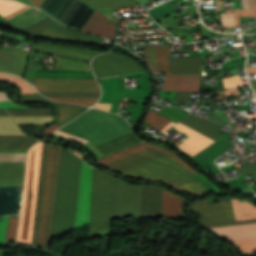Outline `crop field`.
Wrapping results in <instances>:
<instances>
[{
  "instance_id": "31",
  "label": "crop field",
  "mask_w": 256,
  "mask_h": 256,
  "mask_svg": "<svg viewBox=\"0 0 256 256\" xmlns=\"http://www.w3.org/2000/svg\"><path fill=\"white\" fill-rule=\"evenodd\" d=\"M144 123L154 127L155 129H157L163 133L171 125L175 124V123L171 122L170 120L166 119L165 117H163L162 115H160L152 110H149Z\"/></svg>"
},
{
  "instance_id": "9",
  "label": "crop field",
  "mask_w": 256,
  "mask_h": 256,
  "mask_svg": "<svg viewBox=\"0 0 256 256\" xmlns=\"http://www.w3.org/2000/svg\"><path fill=\"white\" fill-rule=\"evenodd\" d=\"M92 68L97 79L144 71L136 62L112 52L92 60Z\"/></svg>"
},
{
  "instance_id": "47",
  "label": "crop field",
  "mask_w": 256,
  "mask_h": 256,
  "mask_svg": "<svg viewBox=\"0 0 256 256\" xmlns=\"http://www.w3.org/2000/svg\"><path fill=\"white\" fill-rule=\"evenodd\" d=\"M25 154H0V161H24Z\"/></svg>"
},
{
  "instance_id": "35",
  "label": "crop field",
  "mask_w": 256,
  "mask_h": 256,
  "mask_svg": "<svg viewBox=\"0 0 256 256\" xmlns=\"http://www.w3.org/2000/svg\"><path fill=\"white\" fill-rule=\"evenodd\" d=\"M0 135H24L11 117H0Z\"/></svg>"
},
{
  "instance_id": "18",
  "label": "crop field",
  "mask_w": 256,
  "mask_h": 256,
  "mask_svg": "<svg viewBox=\"0 0 256 256\" xmlns=\"http://www.w3.org/2000/svg\"><path fill=\"white\" fill-rule=\"evenodd\" d=\"M28 51L12 48L11 51L0 50V71L23 76Z\"/></svg>"
},
{
  "instance_id": "42",
  "label": "crop field",
  "mask_w": 256,
  "mask_h": 256,
  "mask_svg": "<svg viewBox=\"0 0 256 256\" xmlns=\"http://www.w3.org/2000/svg\"><path fill=\"white\" fill-rule=\"evenodd\" d=\"M16 123L41 124L51 121L52 117H13Z\"/></svg>"
},
{
  "instance_id": "15",
  "label": "crop field",
  "mask_w": 256,
  "mask_h": 256,
  "mask_svg": "<svg viewBox=\"0 0 256 256\" xmlns=\"http://www.w3.org/2000/svg\"><path fill=\"white\" fill-rule=\"evenodd\" d=\"M24 102H45L57 109V118L54 124L62 126L78 116L88 108H82L70 104L53 103L39 94L21 96Z\"/></svg>"
},
{
  "instance_id": "46",
  "label": "crop field",
  "mask_w": 256,
  "mask_h": 256,
  "mask_svg": "<svg viewBox=\"0 0 256 256\" xmlns=\"http://www.w3.org/2000/svg\"><path fill=\"white\" fill-rule=\"evenodd\" d=\"M238 171L241 173L242 177L249 175H251L252 177H256V162L238 168Z\"/></svg>"
},
{
  "instance_id": "22",
  "label": "crop field",
  "mask_w": 256,
  "mask_h": 256,
  "mask_svg": "<svg viewBox=\"0 0 256 256\" xmlns=\"http://www.w3.org/2000/svg\"><path fill=\"white\" fill-rule=\"evenodd\" d=\"M145 61L152 71H169V46L145 45Z\"/></svg>"
},
{
  "instance_id": "21",
  "label": "crop field",
  "mask_w": 256,
  "mask_h": 256,
  "mask_svg": "<svg viewBox=\"0 0 256 256\" xmlns=\"http://www.w3.org/2000/svg\"><path fill=\"white\" fill-rule=\"evenodd\" d=\"M48 145L43 144L31 245L37 246Z\"/></svg>"
},
{
  "instance_id": "3",
  "label": "crop field",
  "mask_w": 256,
  "mask_h": 256,
  "mask_svg": "<svg viewBox=\"0 0 256 256\" xmlns=\"http://www.w3.org/2000/svg\"><path fill=\"white\" fill-rule=\"evenodd\" d=\"M59 130L86 139L96 147L133 133L122 117L90 109Z\"/></svg>"
},
{
  "instance_id": "57",
  "label": "crop field",
  "mask_w": 256,
  "mask_h": 256,
  "mask_svg": "<svg viewBox=\"0 0 256 256\" xmlns=\"http://www.w3.org/2000/svg\"><path fill=\"white\" fill-rule=\"evenodd\" d=\"M249 1V4H250V7L252 9H254L255 13H256V2L255 0H248Z\"/></svg>"
},
{
  "instance_id": "62",
  "label": "crop field",
  "mask_w": 256,
  "mask_h": 256,
  "mask_svg": "<svg viewBox=\"0 0 256 256\" xmlns=\"http://www.w3.org/2000/svg\"><path fill=\"white\" fill-rule=\"evenodd\" d=\"M250 82H251L253 88H256V80H250Z\"/></svg>"
},
{
  "instance_id": "40",
  "label": "crop field",
  "mask_w": 256,
  "mask_h": 256,
  "mask_svg": "<svg viewBox=\"0 0 256 256\" xmlns=\"http://www.w3.org/2000/svg\"><path fill=\"white\" fill-rule=\"evenodd\" d=\"M25 5L8 1V0H0V15L3 17Z\"/></svg>"
},
{
  "instance_id": "45",
  "label": "crop field",
  "mask_w": 256,
  "mask_h": 256,
  "mask_svg": "<svg viewBox=\"0 0 256 256\" xmlns=\"http://www.w3.org/2000/svg\"><path fill=\"white\" fill-rule=\"evenodd\" d=\"M235 27L239 26V17H256L253 10L248 9H233Z\"/></svg>"
},
{
  "instance_id": "55",
  "label": "crop field",
  "mask_w": 256,
  "mask_h": 256,
  "mask_svg": "<svg viewBox=\"0 0 256 256\" xmlns=\"http://www.w3.org/2000/svg\"><path fill=\"white\" fill-rule=\"evenodd\" d=\"M7 99H9V95L4 92H0V101L7 100Z\"/></svg>"
},
{
  "instance_id": "17",
  "label": "crop field",
  "mask_w": 256,
  "mask_h": 256,
  "mask_svg": "<svg viewBox=\"0 0 256 256\" xmlns=\"http://www.w3.org/2000/svg\"><path fill=\"white\" fill-rule=\"evenodd\" d=\"M82 31L100 35L116 42V20L111 21L96 10Z\"/></svg>"
},
{
  "instance_id": "41",
  "label": "crop field",
  "mask_w": 256,
  "mask_h": 256,
  "mask_svg": "<svg viewBox=\"0 0 256 256\" xmlns=\"http://www.w3.org/2000/svg\"><path fill=\"white\" fill-rule=\"evenodd\" d=\"M18 217H9L5 242L15 241Z\"/></svg>"
},
{
  "instance_id": "60",
  "label": "crop field",
  "mask_w": 256,
  "mask_h": 256,
  "mask_svg": "<svg viewBox=\"0 0 256 256\" xmlns=\"http://www.w3.org/2000/svg\"><path fill=\"white\" fill-rule=\"evenodd\" d=\"M0 116H9L5 110L0 109Z\"/></svg>"
},
{
  "instance_id": "34",
  "label": "crop field",
  "mask_w": 256,
  "mask_h": 256,
  "mask_svg": "<svg viewBox=\"0 0 256 256\" xmlns=\"http://www.w3.org/2000/svg\"><path fill=\"white\" fill-rule=\"evenodd\" d=\"M175 3H177V2L174 0H169L166 3L149 10L148 12L150 13L151 17L155 21H157V20L175 12L174 8L171 6Z\"/></svg>"
},
{
  "instance_id": "13",
  "label": "crop field",
  "mask_w": 256,
  "mask_h": 256,
  "mask_svg": "<svg viewBox=\"0 0 256 256\" xmlns=\"http://www.w3.org/2000/svg\"><path fill=\"white\" fill-rule=\"evenodd\" d=\"M37 35L48 39L79 41L85 44H96L99 43L101 40L100 38L92 37L89 35H85L79 32L66 29L55 22Z\"/></svg>"
},
{
  "instance_id": "30",
  "label": "crop field",
  "mask_w": 256,
  "mask_h": 256,
  "mask_svg": "<svg viewBox=\"0 0 256 256\" xmlns=\"http://www.w3.org/2000/svg\"><path fill=\"white\" fill-rule=\"evenodd\" d=\"M137 142H141L138 140L135 136V133L128 135L126 137H123L121 139H118L114 142H111L109 144H106L104 146H101L97 148L104 156L111 154L115 151H118L120 149H123L125 147H128L132 144H135Z\"/></svg>"
},
{
  "instance_id": "6",
  "label": "crop field",
  "mask_w": 256,
  "mask_h": 256,
  "mask_svg": "<svg viewBox=\"0 0 256 256\" xmlns=\"http://www.w3.org/2000/svg\"><path fill=\"white\" fill-rule=\"evenodd\" d=\"M40 9L57 22L79 31L95 10L81 0H43Z\"/></svg>"
},
{
  "instance_id": "59",
  "label": "crop field",
  "mask_w": 256,
  "mask_h": 256,
  "mask_svg": "<svg viewBox=\"0 0 256 256\" xmlns=\"http://www.w3.org/2000/svg\"><path fill=\"white\" fill-rule=\"evenodd\" d=\"M246 71L247 73H256V67H247Z\"/></svg>"
},
{
  "instance_id": "20",
  "label": "crop field",
  "mask_w": 256,
  "mask_h": 256,
  "mask_svg": "<svg viewBox=\"0 0 256 256\" xmlns=\"http://www.w3.org/2000/svg\"><path fill=\"white\" fill-rule=\"evenodd\" d=\"M161 189L142 186L140 216L160 217Z\"/></svg>"
},
{
  "instance_id": "53",
  "label": "crop field",
  "mask_w": 256,
  "mask_h": 256,
  "mask_svg": "<svg viewBox=\"0 0 256 256\" xmlns=\"http://www.w3.org/2000/svg\"><path fill=\"white\" fill-rule=\"evenodd\" d=\"M0 106H2L3 108H29V107H23V106H19V105H13L10 102V100L0 102Z\"/></svg>"
},
{
  "instance_id": "5",
  "label": "crop field",
  "mask_w": 256,
  "mask_h": 256,
  "mask_svg": "<svg viewBox=\"0 0 256 256\" xmlns=\"http://www.w3.org/2000/svg\"><path fill=\"white\" fill-rule=\"evenodd\" d=\"M42 144L28 152L21 219L17 241L30 245Z\"/></svg>"
},
{
  "instance_id": "48",
  "label": "crop field",
  "mask_w": 256,
  "mask_h": 256,
  "mask_svg": "<svg viewBox=\"0 0 256 256\" xmlns=\"http://www.w3.org/2000/svg\"><path fill=\"white\" fill-rule=\"evenodd\" d=\"M225 88L234 87V86H241L243 85L240 79V76H234L223 79Z\"/></svg>"
},
{
  "instance_id": "11",
  "label": "crop field",
  "mask_w": 256,
  "mask_h": 256,
  "mask_svg": "<svg viewBox=\"0 0 256 256\" xmlns=\"http://www.w3.org/2000/svg\"><path fill=\"white\" fill-rule=\"evenodd\" d=\"M141 186L116 180L114 218L139 214Z\"/></svg>"
},
{
  "instance_id": "38",
  "label": "crop field",
  "mask_w": 256,
  "mask_h": 256,
  "mask_svg": "<svg viewBox=\"0 0 256 256\" xmlns=\"http://www.w3.org/2000/svg\"><path fill=\"white\" fill-rule=\"evenodd\" d=\"M46 97L98 98L100 93L40 92Z\"/></svg>"
},
{
  "instance_id": "32",
  "label": "crop field",
  "mask_w": 256,
  "mask_h": 256,
  "mask_svg": "<svg viewBox=\"0 0 256 256\" xmlns=\"http://www.w3.org/2000/svg\"><path fill=\"white\" fill-rule=\"evenodd\" d=\"M83 1L95 9L138 5L132 0H83Z\"/></svg>"
},
{
  "instance_id": "51",
  "label": "crop field",
  "mask_w": 256,
  "mask_h": 256,
  "mask_svg": "<svg viewBox=\"0 0 256 256\" xmlns=\"http://www.w3.org/2000/svg\"><path fill=\"white\" fill-rule=\"evenodd\" d=\"M7 218L8 217H5L3 222H0V243L4 242L6 226H7Z\"/></svg>"
},
{
  "instance_id": "49",
  "label": "crop field",
  "mask_w": 256,
  "mask_h": 256,
  "mask_svg": "<svg viewBox=\"0 0 256 256\" xmlns=\"http://www.w3.org/2000/svg\"><path fill=\"white\" fill-rule=\"evenodd\" d=\"M222 26H234L233 14H221Z\"/></svg>"
},
{
  "instance_id": "7",
  "label": "crop field",
  "mask_w": 256,
  "mask_h": 256,
  "mask_svg": "<svg viewBox=\"0 0 256 256\" xmlns=\"http://www.w3.org/2000/svg\"><path fill=\"white\" fill-rule=\"evenodd\" d=\"M191 129L203 134L204 136L216 141L219 139L221 130L217 129L219 124L200 118L195 115H188V117L180 122ZM232 143L217 141L207 146L197 154L189 158L199 168H204L210 162L215 160L218 156L224 153Z\"/></svg>"
},
{
  "instance_id": "44",
  "label": "crop field",
  "mask_w": 256,
  "mask_h": 256,
  "mask_svg": "<svg viewBox=\"0 0 256 256\" xmlns=\"http://www.w3.org/2000/svg\"><path fill=\"white\" fill-rule=\"evenodd\" d=\"M52 22H54V21L48 18L21 33L31 37L34 34H36L37 32H39L40 30H42L43 28H45L46 26H48L49 24H51Z\"/></svg>"
},
{
  "instance_id": "16",
  "label": "crop field",
  "mask_w": 256,
  "mask_h": 256,
  "mask_svg": "<svg viewBox=\"0 0 256 256\" xmlns=\"http://www.w3.org/2000/svg\"><path fill=\"white\" fill-rule=\"evenodd\" d=\"M30 49L45 52V53L85 60V61H90L94 56L102 53V52L83 50V49H77V48H71V47H65V46H58V45H52V44H46V43H40V44L30 43Z\"/></svg>"
},
{
  "instance_id": "10",
  "label": "crop field",
  "mask_w": 256,
  "mask_h": 256,
  "mask_svg": "<svg viewBox=\"0 0 256 256\" xmlns=\"http://www.w3.org/2000/svg\"><path fill=\"white\" fill-rule=\"evenodd\" d=\"M38 91L100 92L95 79L35 78Z\"/></svg>"
},
{
  "instance_id": "27",
  "label": "crop field",
  "mask_w": 256,
  "mask_h": 256,
  "mask_svg": "<svg viewBox=\"0 0 256 256\" xmlns=\"http://www.w3.org/2000/svg\"><path fill=\"white\" fill-rule=\"evenodd\" d=\"M61 149L56 147L45 248L49 250Z\"/></svg>"
},
{
  "instance_id": "1",
  "label": "crop field",
  "mask_w": 256,
  "mask_h": 256,
  "mask_svg": "<svg viewBox=\"0 0 256 256\" xmlns=\"http://www.w3.org/2000/svg\"><path fill=\"white\" fill-rule=\"evenodd\" d=\"M98 164L121 174L170 183L194 196L210 193L192 176L196 171L172 153L144 142L99 159Z\"/></svg>"
},
{
  "instance_id": "52",
  "label": "crop field",
  "mask_w": 256,
  "mask_h": 256,
  "mask_svg": "<svg viewBox=\"0 0 256 256\" xmlns=\"http://www.w3.org/2000/svg\"><path fill=\"white\" fill-rule=\"evenodd\" d=\"M54 134H57V135H60V136L66 137V138H70V139H73V140H76V141H79V142H82V143L88 142V141H85L83 139L77 138L75 136L69 135L67 133L61 132L59 130L55 131Z\"/></svg>"
},
{
  "instance_id": "2",
  "label": "crop field",
  "mask_w": 256,
  "mask_h": 256,
  "mask_svg": "<svg viewBox=\"0 0 256 256\" xmlns=\"http://www.w3.org/2000/svg\"><path fill=\"white\" fill-rule=\"evenodd\" d=\"M82 160L62 149L52 236L74 228Z\"/></svg>"
},
{
  "instance_id": "14",
  "label": "crop field",
  "mask_w": 256,
  "mask_h": 256,
  "mask_svg": "<svg viewBox=\"0 0 256 256\" xmlns=\"http://www.w3.org/2000/svg\"><path fill=\"white\" fill-rule=\"evenodd\" d=\"M55 147L49 145L38 246L44 248Z\"/></svg>"
},
{
  "instance_id": "61",
  "label": "crop field",
  "mask_w": 256,
  "mask_h": 256,
  "mask_svg": "<svg viewBox=\"0 0 256 256\" xmlns=\"http://www.w3.org/2000/svg\"><path fill=\"white\" fill-rule=\"evenodd\" d=\"M236 8H242L240 1H235Z\"/></svg>"
},
{
  "instance_id": "26",
  "label": "crop field",
  "mask_w": 256,
  "mask_h": 256,
  "mask_svg": "<svg viewBox=\"0 0 256 256\" xmlns=\"http://www.w3.org/2000/svg\"><path fill=\"white\" fill-rule=\"evenodd\" d=\"M183 199L162 189V203L161 216H168L171 218L183 217L181 206Z\"/></svg>"
},
{
  "instance_id": "33",
  "label": "crop field",
  "mask_w": 256,
  "mask_h": 256,
  "mask_svg": "<svg viewBox=\"0 0 256 256\" xmlns=\"http://www.w3.org/2000/svg\"><path fill=\"white\" fill-rule=\"evenodd\" d=\"M0 81L17 85L21 90L20 95L37 93L33 86L14 75L0 73Z\"/></svg>"
},
{
  "instance_id": "39",
  "label": "crop field",
  "mask_w": 256,
  "mask_h": 256,
  "mask_svg": "<svg viewBox=\"0 0 256 256\" xmlns=\"http://www.w3.org/2000/svg\"><path fill=\"white\" fill-rule=\"evenodd\" d=\"M235 248L244 253H253L256 251V239H246L230 242Z\"/></svg>"
},
{
  "instance_id": "54",
  "label": "crop field",
  "mask_w": 256,
  "mask_h": 256,
  "mask_svg": "<svg viewBox=\"0 0 256 256\" xmlns=\"http://www.w3.org/2000/svg\"><path fill=\"white\" fill-rule=\"evenodd\" d=\"M30 8L31 7L25 6V7L21 8V9L15 11L14 13L4 17V19H6L8 21L10 18H12V17H14V16H16V15H18V14H20V13H22V12L28 10V9H30Z\"/></svg>"
},
{
  "instance_id": "12",
  "label": "crop field",
  "mask_w": 256,
  "mask_h": 256,
  "mask_svg": "<svg viewBox=\"0 0 256 256\" xmlns=\"http://www.w3.org/2000/svg\"><path fill=\"white\" fill-rule=\"evenodd\" d=\"M91 177L92 167L83 162L75 228L89 222Z\"/></svg>"
},
{
  "instance_id": "24",
  "label": "crop field",
  "mask_w": 256,
  "mask_h": 256,
  "mask_svg": "<svg viewBox=\"0 0 256 256\" xmlns=\"http://www.w3.org/2000/svg\"><path fill=\"white\" fill-rule=\"evenodd\" d=\"M172 127L190 135L187 139H185L177 147L183 149L184 151H186L192 155L195 154L196 152H198L199 150H201L202 148L206 147L210 143L214 142L180 123H178Z\"/></svg>"
},
{
  "instance_id": "43",
  "label": "crop field",
  "mask_w": 256,
  "mask_h": 256,
  "mask_svg": "<svg viewBox=\"0 0 256 256\" xmlns=\"http://www.w3.org/2000/svg\"><path fill=\"white\" fill-rule=\"evenodd\" d=\"M59 102H69L81 106H91L97 99H72V98H49Z\"/></svg>"
},
{
  "instance_id": "37",
  "label": "crop field",
  "mask_w": 256,
  "mask_h": 256,
  "mask_svg": "<svg viewBox=\"0 0 256 256\" xmlns=\"http://www.w3.org/2000/svg\"><path fill=\"white\" fill-rule=\"evenodd\" d=\"M158 113L162 114L175 123L183 120L188 114V112L184 110L170 107H163Z\"/></svg>"
},
{
  "instance_id": "8",
  "label": "crop field",
  "mask_w": 256,
  "mask_h": 256,
  "mask_svg": "<svg viewBox=\"0 0 256 256\" xmlns=\"http://www.w3.org/2000/svg\"><path fill=\"white\" fill-rule=\"evenodd\" d=\"M189 208L200 215V223L202 226H199V229L213 226L256 222V219L235 222L230 200L223 203L213 204H207L206 201H199L189 205Z\"/></svg>"
},
{
  "instance_id": "23",
  "label": "crop field",
  "mask_w": 256,
  "mask_h": 256,
  "mask_svg": "<svg viewBox=\"0 0 256 256\" xmlns=\"http://www.w3.org/2000/svg\"><path fill=\"white\" fill-rule=\"evenodd\" d=\"M208 230L230 240L256 237V223L209 228Z\"/></svg>"
},
{
  "instance_id": "36",
  "label": "crop field",
  "mask_w": 256,
  "mask_h": 256,
  "mask_svg": "<svg viewBox=\"0 0 256 256\" xmlns=\"http://www.w3.org/2000/svg\"><path fill=\"white\" fill-rule=\"evenodd\" d=\"M11 116H52L49 109H6Z\"/></svg>"
},
{
  "instance_id": "56",
  "label": "crop field",
  "mask_w": 256,
  "mask_h": 256,
  "mask_svg": "<svg viewBox=\"0 0 256 256\" xmlns=\"http://www.w3.org/2000/svg\"><path fill=\"white\" fill-rule=\"evenodd\" d=\"M58 127L59 126L54 125V126L48 128V129L44 130L43 133L46 135V134L50 133L51 131L55 130L56 128H58Z\"/></svg>"
},
{
  "instance_id": "4",
  "label": "crop field",
  "mask_w": 256,
  "mask_h": 256,
  "mask_svg": "<svg viewBox=\"0 0 256 256\" xmlns=\"http://www.w3.org/2000/svg\"><path fill=\"white\" fill-rule=\"evenodd\" d=\"M115 179L93 169L89 231L112 230Z\"/></svg>"
},
{
  "instance_id": "28",
  "label": "crop field",
  "mask_w": 256,
  "mask_h": 256,
  "mask_svg": "<svg viewBox=\"0 0 256 256\" xmlns=\"http://www.w3.org/2000/svg\"><path fill=\"white\" fill-rule=\"evenodd\" d=\"M231 201L236 221L256 218V208L250 203L236 199Z\"/></svg>"
},
{
  "instance_id": "19",
  "label": "crop field",
  "mask_w": 256,
  "mask_h": 256,
  "mask_svg": "<svg viewBox=\"0 0 256 256\" xmlns=\"http://www.w3.org/2000/svg\"><path fill=\"white\" fill-rule=\"evenodd\" d=\"M162 90L200 92V75L165 74Z\"/></svg>"
},
{
  "instance_id": "50",
  "label": "crop field",
  "mask_w": 256,
  "mask_h": 256,
  "mask_svg": "<svg viewBox=\"0 0 256 256\" xmlns=\"http://www.w3.org/2000/svg\"><path fill=\"white\" fill-rule=\"evenodd\" d=\"M192 93L178 92L175 99L176 101L188 103Z\"/></svg>"
},
{
  "instance_id": "29",
  "label": "crop field",
  "mask_w": 256,
  "mask_h": 256,
  "mask_svg": "<svg viewBox=\"0 0 256 256\" xmlns=\"http://www.w3.org/2000/svg\"><path fill=\"white\" fill-rule=\"evenodd\" d=\"M37 142L33 137L27 136H0V148H28Z\"/></svg>"
},
{
  "instance_id": "58",
  "label": "crop field",
  "mask_w": 256,
  "mask_h": 256,
  "mask_svg": "<svg viewBox=\"0 0 256 256\" xmlns=\"http://www.w3.org/2000/svg\"><path fill=\"white\" fill-rule=\"evenodd\" d=\"M35 7H39L42 0H29Z\"/></svg>"
},
{
  "instance_id": "25",
  "label": "crop field",
  "mask_w": 256,
  "mask_h": 256,
  "mask_svg": "<svg viewBox=\"0 0 256 256\" xmlns=\"http://www.w3.org/2000/svg\"><path fill=\"white\" fill-rule=\"evenodd\" d=\"M201 56L170 59V74H200Z\"/></svg>"
}]
</instances>
